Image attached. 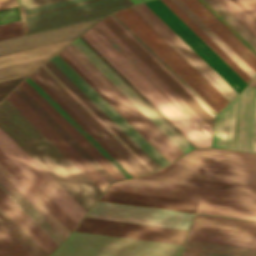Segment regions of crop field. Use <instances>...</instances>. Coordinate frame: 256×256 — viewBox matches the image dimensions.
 <instances>
[{
  "label": "crop field",
  "mask_w": 256,
  "mask_h": 256,
  "mask_svg": "<svg viewBox=\"0 0 256 256\" xmlns=\"http://www.w3.org/2000/svg\"><path fill=\"white\" fill-rule=\"evenodd\" d=\"M130 0H62L20 10L26 34L106 16ZM101 18L0 41V55L76 38Z\"/></svg>",
  "instance_id": "8a807250"
},
{
  "label": "crop field",
  "mask_w": 256,
  "mask_h": 256,
  "mask_svg": "<svg viewBox=\"0 0 256 256\" xmlns=\"http://www.w3.org/2000/svg\"><path fill=\"white\" fill-rule=\"evenodd\" d=\"M181 161L256 170V154L230 150L193 149ZM137 178L256 193V171L175 161L162 170Z\"/></svg>",
  "instance_id": "ac0d7876"
},
{
  "label": "crop field",
  "mask_w": 256,
  "mask_h": 256,
  "mask_svg": "<svg viewBox=\"0 0 256 256\" xmlns=\"http://www.w3.org/2000/svg\"><path fill=\"white\" fill-rule=\"evenodd\" d=\"M0 127L74 199L89 210L102 192L6 99L0 103Z\"/></svg>",
  "instance_id": "34b2d1b8"
},
{
  "label": "crop field",
  "mask_w": 256,
  "mask_h": 256,
  "mask_svg": "<svg viewBox=\"0 0 256 256\" xmlns=\"http://www.w3.org/2000/svg\"><path fill=\"white\" fill-rule=\"evenodd\" d=\"M107 190L199 201L200 214L256 220V194L131 178Z\"/></svg>",
  "instance_id": "412701ff"
},
{
  "label": "crop field",
  "mask_w": 256,
  "mask_h": 256,
  "mask_svg": "<svg viewBox=\"0 0 256 256\" xmlns=\"http://www.w3.org/2000/svg\"><path fill=\"white\" fill-rule=\"evenodd\" d=\"M182 246L73 231L50 256H179Z\"/></svg>",
  "instance_id": "f4fd0767"
},
{
  "label": "crop field",
  "mask_w": 256,
  "mask_h": 256,
  "mask_svg": "<svg viewBox=\"0 0 256 256\" xmlns=\"http://www.w3.org/2000/svg\"><path fill=\"white\" fill-rule=\"evenodd\" d=\"M161 113H163L197 147L211 142L191 124L153 85H151L113 46L93 27L81 35Z\"/></svg>",
  "instance_id": "dd49c442"
},
{
  "label": "crop field",
  "mask_w": 256,
  "mask_h": 256,
  "mask_svg": "<svg viewBox=\"0 0 256 256\" xmlns=\"http://www.w3.org/2000/svg\"><path fill=\"white\" fill-rule=\"evenodd\" d=\"M256 89L245 87L216 117L213 147L256 152Z\"/></svg>",
  "instance_id": "e52e79f7"
},
{
  "label": "crop field",
  "mask_w": 256,
  "mask_h": 256,
  "mask_svg": "<svg viewBox=\"0 0 256 256\" xmlns=\"http://www.w3.org/2000/svg\"><path fill=\"white\" fill-rule=\"evenodd\" d=\"M0 150L76 224L87 212L1 128Z\"/></svg>",
  "instance_id": "d8731c3e"
},
{
  "label": "crop field",
  "mask_w": 256,
  "mask_h": 256,
  "mask_svg": "<svg viewBox=\"0 0 256 256\" xmlns=\"http://www.w3.org/2000/svg\"><path fill=\"white\" fill-rule=\"evenodd\" d=\"M192 214L97 201L86 216L187 230Z\"/></svg>",
  "instance_id": "5a996713"
},
{
  "label": "crop field",
  "mask_w": 256,
  "mask_h": 256,
  "mask_svg": "<svg viewBox=\"0 0 256 256\" xmlns=\"http://www.w3.org/2000/svg\"><path fill=\"white\" fill-rule=\"evenodd\" d=\"M145 4L237 93L247 84L160 0L145 2Z\"/></svg>",
  "instance_id": "3316defc"
},
{
  "label": "crop field",
  "mask_w": 256,
  "mask_h": 256,
  "mask_svg": "<svg viewBox=\"0 0 256 256\" xmlns=\"http://www.w3.org/2000/svg\"><path fill=\"white\" fill-rule=\"evenodd\" d=\"M132 8L154 30H156L202 77H204L228 102L237 94L144 3L132 6Z\"/></svg>",
  "instance_id": "28ad6ade"
},
{
  "label": "crop field",
  "mask_w": 256,
  "mask_h": 256,
  "mask_svg": "<svg viewBox=\"0 0 256 256\" xmlns=\"http://www.w3.org/2000/svg\"><path fill=\"white\" fill-rule=\"evenodd\" d=\"M75 230L180 244L184 243L187 232L88 217H84Z\"/></svg>",
  "instance_id": "d1516ede"
},
{
  "label": "crop field",
  "mask_w": 256,
  "mask_h": 256,
  "mask_svg": "<svg viewBox=\"0 0 256 256\" xmlns=\"http://www.w3.org/2000/svg\"><path fill=\"white\" fill-rule=\"evenodd\" d=\"M33 73L49 89H51L84 123H86L138 175L149 172L110 133H108L83 107H81L55 80H53L41 67L38 68Z\"/></svg>",
  "instance_id": "22f410ed"
},
{
  "label": "crop field",
  "mask_w": 256,
  "mask_h": 256,
  "mask_svg": "<svg viewBox=\"0 0 256 256\" xmlns=\"http://www.w3.org/2000/svg\"><path fill=\"white\" fill-rule=\"evenodd\" d=\"M102 192L109 184L14 91L6 98Z\"/></svg>",
  "instance_id": "cbeb9de0"
},
{
  "label": "crop field",
  "mask_w": 256,
  "mask_h": 256,
  "mask_svg": "<svg viewBox=\"0 0 256 256\" xmlns=\"http://www.w3.org/2000/svg\"><path fill=\"white\" fill-rule=\"evenodd\" d=\"M120 12L132 22L156 47H158L182 72H184L221 109L228 103L205 79H203L156 31H154L131 7Z\"/></svg>",
  "instance_id": "5142ce71"
},
{
  "label": "crop field",
  "mask_w": 256,
  "mask_h": 256,
  "mask_svg": "<svg viewBox=\"0 0 256 256\" xmlns=\"http://www.w3.org/2000/svg\"><path fill=\"white\" fill-rule=\"evenodd\" d=\"M67 77H69L104 113H106L141 149H143L160 167L168 162L149 145L114 109H112L77 73H75L58 55L50 59Z\"/></svg>",
  "instance_id": "d9b57169"
},
{
  "label": "crop field",
  "mask_w": 256,
  "mask_h": 256,
  "mask_svg": "<svg viewBox=\"0 0 256 256\" xmlns=\"http://www.w3.org/2000/svg\"><path fill=\"white\" fill-rule=\"evenodd\" d=\"M71 41L0 56V81L28 75Z\"/></svg>",
  "instance_id": "733c2abd"
},
{
  "label": "crop field",
  "mask_w": 256,
  "mask_h": 256,
  "mask_svg": "<svg viewBox=\"0 0 256 256\" xmlns=\"http://www.w3.org/2000/svg\"><path fill=\"white\" fill-rule=\"evenodd\" d=\"M101 21L212 128L213 118L162 68H160L126 33H124L108 16Z\"/></svg>",
  "instance_id": "4a817a6b"
},
{
  "label": "crop field",
  "mask_w": 256,
  "mask_h": 256,
  "mask_svg": "<svg viewBox=\"0 0 256 256\" xmlns=\"http://www.w3.org/2000/svg\"><path fill=\"white\" fill-rule=\"evenodd\" d=\"M86 57L112 84H114L141 112H143L169 139L184 153L190 148L176 136L149 108H147L121 81H119L92 53L77 39L71 43Z\"/></svg>",
  "instance_id": "bc2a9ffb"
},
{
  "label": "crop field",
  "mask_w": 256,
  "mask_h": 256,
  "mask_svg": "<svg viewBox=\"0 0 256 256\" xmlns=\"http://www.w3.org/2000/svg\"><path fill=\"white\" fill-rule=\"evenodd\" d=\"M65 49L78 62H80L106 89H108L134 116H136L177 157L184 154L143 113H141L114 85H112L86 58H84L71 44L67 46Z\"/></svg>",
  "instance_id": "214f88e0"
},
{
  "label": "crop field",
  "mask_w": 256,
  "mask_h": 256,
  "mask_svg": "<svg viewBox=\"0 0 256 256\" xmlns=\"http://www.w3.org/2000/svg\"><path fill=\"white\" fill-rule=\"evenodd\" d=\"M182 1L256 72V56L237 37L216 19L198 0Z\"/></svg>",
  "instance_id": "92a150f3"
},
{
  "label": "crop field",
  "mask_w": 256,
  "mask_h": 256,
  "mask_svg": "<svg viewBox=\"0 0 256 256\" xmlns=\"http://www.w3.org/2000/svg\"><path fill=\"white\" fill-rule=\"evenodd\" d=\"M99 200L150 206V207H158V208H166V209H174V210H182V211H190V212L196 211V207L198 203L194 201L160 198V197H152V196H144V195L127 194V193H118V192H110V191H105Z\"/></svg>",
  "instance_id": "dafd665d"
},
{
  "label": "crop field",
  "mask_w": 256,
  "mask_h": 256,
  "mask_svg": "<svg viewBox=\"0 0 256 256\" xmlns=\"http://www.w3.org/2000/svg\"><path fill=\"white\" fill-rule=\"evenodd\" d=\"M0 208L10 218H12L48 254L58 246L21 209H19L1 190H0Z\"/></svg>",
  "instance_id": "00972430"
},
{
  "label": "crop field",
  "mask_w": 256,
  "mask_h": 256,
  "mask_svg": "<svg viewBox=\"0 0 256 256\" xmlns=\"http://www.w3.org/2000/svg\"><path fill=\"white\" fill-rule=\"evenodd\" d=\"M58 76L84 103H86L112 130H114L140 157L154 170L160 167L141 150L106 114H104L69 78H67L50 60L44 63Z\"/></svg>",
  "instance_id": "a9b5d70f"
},
{
  "label": "crop field",
  "mask_w": 256,
  "mask_h": 256,
  "mask_svg": "<svg viewBox=\"0 0 256 256\" xmlns=\"http://www.w3.org/2000/svg\"><path fill=\"white\" fill-rule=\"evenodd\" d=\"M190 228L256 236V222L220 218L200 214H195Z\"/></svg>",
  "instance_id": "4177f3b9"
},
{
  "label": "crop field",
  "mask_w": 256,
  "mask_h": 256,
  "mask_svg": "<svg viewBox=\"0 0 256 256\" xmlns=\"http://www.w3.org/2000/svg\"><path fill=\"white\" fill-rule=\"evenodd\" d=\"M0 189L21 208L58 245L65 237L53 227L29 202H27L4 178L0 176ZM46 234V235H47ZM47 235V236H48ZM48 236V237H49ZM49 237V238H50Z\"/></svg>",
  "instance_id": "730fd06b"
},
{
  "label": "crop field",
  "mask_w": 256,
  "mask_h": 256,
  "mask_svg": "<svg viewBox=\"0 0 256 256\" xmlns=\"http://www.w3.org/2000/svg\"><path fill=\"white\" fill-rule=\"evenodd\" d=\"M30 105L60 136H62L92 167H94L109 183L115 179L99 165L69 134H67L36 102H34L19 86L14 90Z\"/></svg>",
  "instance_id": "eef30255"
},
{
  "label": "crop field",
  "mask_w": 256,
  "mask_h": 256,
  "mask_svg": "<svg viewBox=\"0 0 256 256\" xmlns=\"http://www.w3.org/2000/svg\"><path fill=\"white\" fill-rule=\"evenodd\" d=\"M0 163L9 170L32 194H34L58 219L71 231L75 223L56 206L20 169H18L1 151Z\"/></svg>",
  "instance_id": "ae1a2a85"
},
{
  "label": "crop field",
  "mask_w": 256,
  "mask_h": 256,
  "mask_svg": "<svg viewBox=\"0 0 256 256\" xmlns=\"http://www.w3.org/2000/svg\"><path fill=\"white\" fill-rule=\"evenodd\" d=\"M38 92L61 116H63L87 141H89L112 165H114L126 178L132 175L123 168L95 139H93L69 114H67L43 89L30 77L25 80Z\"/></svg>",
  "instance_id": "d3111659"
},
{
  "label": "crop field",
  "mask_w": 256,
  "mask_h": 256,
  "mask_svg": "<svg viewBox=\"0 0 256 256\" xmlns=\"http://www.w3.org/2000/svg\"><path fill=\"white\" fill-rule=\"evenodd\" d=\"M73 65H75L101 92H103L129 119H131L157 146H159L172 160L177 158L164 144H162L136 117H134L108 90H106L80 63H78L65 49L60 51Z\"/></svg>",
  "instance_id": "750c4746"
},
{
  "label": "crop field",
  "mask_w": 256,
  "mask_h": 256,
  "mask_svg": "<svg viewBox=\"0 0 256 256\" xmlns=\"http://www.w3.org/2000/svg\"><path fill=\"white\" fill-rule=\"evenodd\" d=\"M93 27L211 141L212 135L203 126H201L173 97H171L143 68H141L112 38H110L97 24Z\"/></svg>",
  "instance_id": "bd1437ed"
},
{
  "label": "crop field",
  "mask_w": 256,
  "mask_h": 256,
  "mask_svg": "<svg viewBox=\"0 0 256 256\" xmlns=\"http://www.w3.org/2000/svg\"><path fill=\"white\" fill-rule=\"evenodd\" d=\"M182 10L208 37H210L236 64H238L251 78L256 74L237 54H235L196 14H194L181 0H171Z\"/></svg>",
  "instance_id": "1d83c4d3"
},
{
  "label": "crop field",
  "mask_w": 256,
  "mask_h": 256,
  "mask_svg": "<svg viewBox=\"0 0 256 256\" xmlns=\"http://www.w3.org/2000/svg\"><path fill=\"white\" fill-rule=\"evenodd\" d=\"M0 174L16 188L48 221H50L66 238L70 230L58 220L34 195H32L9 171L0 164Z\"/></svg>",
  "instance_id": "120bbe31"
},
{
  "label": "crop field",
  "mask_w": 256,
  "mask_h": 256,
  "mask_svg": "<svg viewBox=\"0 0 256 256\" xmlns=\"http://www.w3.org/2000/svg\"><path fill=\"white\" fill-rule=\"evenodd\" d=\"M187 239L256 248V237L190 229Z\"/></svg>",
  "instance_id": "d32e631a"
},
{
  "label": "crop field",
  "mask_w": 256,
  "mask_h": 256,
  "mask_svg": "<svg viewBox=\"0 0 256 256\" xmlns=\"http://www.w3.org/2000/svg\"><path fill=\"white\" fill-rule=\"evenodd\" d=\"M171 9L191 30H193L213 51H215L235 72H237L247 83L251 79L242 71L226 54H224L192 21H190L170 0H161ZM236 73V74H237ZM237 74V75H238ZM238 75V76H239ZM239 76V77H240ZM240 77V78H241ZM241 78V79H242ZM242 79V80H243ZM243 80V81H244Z\"/></svg>",
  "instance_id": "5866460e"
},
{
  "label": "crop field",
  "mask_w": 256,
  "mask_h": 256,
  "mask_svg": "<svg viewBox=\"0 0 256 256\" xmlns=\"http://www.w3.org/2000/svg\"><path fill=\"white\" fill-rule=\"evenodd\" d=\"M115 14L132 29L164 62H166L199 96H201L217 113L221 110L210 98H208L184 73H182L158 48H156L132 23H130L119 11Z\"/></svg>",
  "instance_id": "028f5c9d"
},
{
  "label": "crop field",
  "mask_w": 256,
  "mask_h": 256,
  "mask_svg": "<svg viewBox=\"0 0 256 256\" xmlns=\"http://www.w3.org/2000/svg\"><path fill=\"white\" fill-rule=\"evenodd\" d=\"M97 24L110 37H112L139 65H141L168 93H170L197 121H199L212 134V129L195 112H193L158 76H156L120 39H118L101 21L98 22Z\"/></svg>",
  "instance_id": "e1f06a70"
},
{
  "label": "crop field",
  "mask_w": 256,
  "mask_h": 256,
  "mask_svg": "<svg viewBox=\"0 0 256 256\" xmlns=\"http://www.w3.org/2000/svg\"><path fill=\"white\" fill-rule=\"evenodd\" d=\"M0 224L33 256H47L22 230L0 211Z\"/></svg>",
  "instance_id": "0bd39190"
},
{
  "label": "crop field",
  "mask_w": 256,
  "mask_h": 256,
  "mask_svg": "<svg viewBox=\"0 0 256 256\" xmlns=\"http://www.w3.org/2000/svg\"><path fill=\"white\" fill-rule=\"evenodd\" d=\"M41 88H43L67 113H69L93 138H95L119 163H121L133 176L137 174L120 159L88 126H86L57 96H55L33 73L29 75ZM120 164V165H121ZM121 165V166H122ZM122 166V167H123ZM123 167V168H124Z\"/></svg>",
  "instance_id": "b80d0937"
},
{
  "label": "crop field",
  "mask_w": 256,
  "mask_h": 256,
  "mask_svg": "<svg viewBox=\"0 0 256 256\" xmlns=\"http://www.w3.org/2000/svg\"><path fill=\"white\" fill-rule=\"evenodd\" d=\"M212 6L248 43L256 49V37L239 22L218 0H205Z\"/></svg>",
  "instance_id": "c035e120"
},
{
  "label": "crop field",
  "mask_w": 256,
  "mask_h": 256,
  "mask_svg": "<svg viewBox=\"0 0 256 256\" xmlns=\"http://www.w3.org/2000/svg\"><path fill=\"white\" fill-rule=\"evenodd\" d=\"M184 247L256 256V249L246 248V247H238V246H230V245H222V244H214V243H206V242H198V241H190V240L186 241Z\"/></svg>",
  "instance_id": "c21b1889"
},
{
  "label": "crop field",
  "mask_w": 256,
  "mask_h": 256,
  "mask_svg": "<svg viewBox=\"0 0 256 256\" xmlns=\"http://www.w3.org/2000/svg\"><path fill=\"white\" fill-rule=\"evenodd\" d=\"M0 244L12 256H32L1 225H0ZM1 245H0V256H11Z\"/></svg>",
  "instance_id": "03da06ac"
},
{
  "label": "crop field",
  "mask_w": 256,
  "mask_h": 256,
  "mask_svg": "<svg viewBox=\"0 0 256 256\" xmlns=\"http://www.w3.org/2000/svg\"><path fill=\"white\" fill-rule=\"evenodd\" d=\"M53 79H55L81 106H83L108 132H110L136 159H138L150 172L153 170L135 154L100 118H98L63 82H61L44 64L41 66Z\"/></svg>",
  "instance_id": "b54c1fbb"
},
{
  "label": "crop field",
  "mask_w": 256,
  "mask_h": 256,
  "mask_svg": "<svg viewBox=\"0 0 256 256\" xmlns=\"http://www.w3.org/2000/svg\"><path fill=\"white\" fill-rule=\"evenodd\" d=\"M34 101H36L66 132H68L99 164H101L116 180L120 178L104 164L73 132H71L39 99H37L22 83L19 85Z\"/></svg>",
  "instance_id": "5d738f31"
},
{
  "label": "crop field",
  "mask_w": 256,
  "mask_h": 256,
  "mask_svg": "<svg viewBox=\"0 0 256 256\" xmlns=\"http://www.w3.org/2000/svg\"><path fill=\"white\" fill-rule=\"evenodd\" d=\"M37 98H39L70 130H72L103 162H105L120 178L124 176L113 167L89 142H87L64 118H62L38 93L25 81L22 82Z\"/></svg>",
  "instance_id": "d23c7cc5"
},
{
  "label": "crop field",
  "mask_w": 256,
  "mask_h": 256,
  "mask_svg": "<svg viewBox=\"0 0 256 256\" xmlns=\"http://www.w3.org/2000/svg\"><path fill=\"white\" fill-rule=\"evenodd\" d=\"M123 27H125L149 52H151L175 77H177L201 102H203L215 115L217 114L201 97H199L167 64H165L132 30H130L114 13L111 14ZM202 103V104H203ZM203 104V105H204ZM204 105V106H205ZM205 106V107H206Z\"/></svg>",
  "instance_id": "425ffa30"
},
{
  "label": "crop field",
  "mask_w": 256,
  "mask_h": 256,
  "mask_svg": "<svg viewBox=\"0 0 256 256\" xmlns=\"http://www.w3.org/2000/svg\"><path fill=\"white\" fill-rule=\"evenodd\" d=\"M109 17L126 32L159 66H161L195 101H197L213 118L214 114L205 107L177 78H175L151 53H149L125 28H123L111 15Z\"/></svg>",
  "instance_id": "25e5ab78"
},
{
  "label": "crop field",
  "mask_w": 256,
  "mask_h": 256,
  "mask_svg": "<svg viewBox=\"0 0 256 256\" xmlns=\"http://www.w3.org/2000/svg\"><path fill=\"white\" fill-rule=\"evenodd\" d=\"M219 1L256 36V26L231 1Z\"/></svg>",
  "instance_id": "73cf0c24"
},
{
  "label": "crop field",
  "mask_w": 256,
  "mask_h": 256,
  "mask_svg": "<svg viewBox=\"0 0 256 256\" xmlns=\"http://www.w3.org/2000/svg\"><path fill=\"white\" fill-rule=\"evenodd\" d=\"M97 55H99L135 92H137L173 129H175L193 148L196 146L185 137L163 114H161L140 92H138L117 70H115L93 47L79 36Z\"/></svg>",
  "instance_id": "89e229c0"
},
{
  "label": "crop field",
  "mask_w": 256,
  "mask_h": 256,
  "mask_svg": "<svg viewBox=\"0 0 256 256\" xmlns=\"http://www.w3.org/2000/svg\"><path fill=\"white\" fill-rule=\"evenodd\" d=\"M22 34L24 33L20 20L0 25V40Z\"/></svg>",
  "instance_id": "1f2cbd36"
},
{
  "label": "crop field",
  "mask_w": 256,
  "mask_h": 256,
  "mask_svg": "<svg viewBox=\"0 0 256 256\" xmlns=\"http://www.w3.org/2000/svg\"><path fill=\"white\" fill-rule=\"evenodd\" d=\"M256 25V0H231Z\"/></svg>",
  "instance_id": "dbb93151"
},
{
  "label": "crop field",
  "mask_w": 256,
  "mask_h": 256,
  "mask_svg": "<svg viewBox=\"0 0 256 256\" xmlns=\"http://www.w3.org/2000/svg\"><path fill=\"white\" fill-rule=\"evenodd\" d=\"M90 52H92L119 80H121L147 107H149L176 135H178L191 149L192 147L173 130L137 93H135L99 56H97L80 38H77Z\"/></svg>",
  "instance_id": "0fb4a251"
},
{
  "label": "crop field",
  "mask_w": 256,
  "mask_h": 256,
  "mask_svg": "<svg viewBox=\"0 0 256 256\" xmlns=\"http://www.w3.org/2000/svg\"><path fill=\"white\" fill-rule=\"evenodd\" d=\"M95 90H97L124 118H126L154 147H156L169 161H172L160 150L140 129H138L118 108H116L96 87H94L61 53H59Z\"/></svg>",
  "instance_id": "1d79db26"
},
{
  "label": "crop field",
  "mask_w": 256,
  "mask_h": 256,
  "mask_svg": "<svg viewBox=\"0 0 256 256\" xmlns=\"http://www.w3.org/2000/svg\"><path fill=\"white\" fill-rule=\"evenodd\" d=\"M181 256H241V255H234V254H226V253H218V252H210V251L184 248Z\"/></svg>",
  "instance_id": "9d1cf04e"
},
{
  "label": "crop field",
  "mask_w": 256,
  "mask_h": 256,
  "mask_svg": "<svg viewBox=\"0 0 256 256\" xmlns=\"http://www.w3.org/2000/svg\"><path fill=\"white\" fill-rule=\"evenodd\" d=\"M26 77V76H25ZM25 77L0 82V101L15 88Z\"/></svg>",
  "instance_id": "447ae74e"
},
{
  "label": "crop field",
  "mask_w": 256,
  "mask_h": 256,
  "mask_svg": "<svg viewBox=\"0 0 256 256\" xmlns=\"http://www.w3.org/2000/svg\"><path fill=\"white\" fill-rule=\"evenodd\" d=\"M20 19L17 7L0 11V24Z\"/></svg>",
  "instance_id": "0765c3eb"
},
{
  "label": "crop field",
  "mask_w": 256,
  "mask_h": 256,
  "mask_svg": "<svg viewBox=\"0 0 256 256\" xmlns=\"http://www.w3.org/2000/svg\"><path fill=\"white\" fill-rule=\"evenodd\" d=\"M58 0H18L20 9Z\"/></svg>",
  "instance_id": "db79e9e6"
},
{
  "label": "crop field",
  "mask_w": 256,
  "mask_h": 256,
  "mask_svg": "<svg viewBox=\"0 0 256 256\" xmlns=\"http://www.w3.org/2000/svg\"><path fill=\"white\" fill-rule=\"evenodd\" d=\"M17 6L16 0H0V10Z\"/></svg>",
  "instance_id": "7b73153f"
},
{
  "label": "crop field",
  "mask_w": 256,
  "mask_h": 256,
  "mask_svg": "<svg viewBox=\"0 0 256 256\" xmlns=\"http://www.w3.org/2000/svg\"><path fill=\"white\" fill-rule=\"evenodd\" d=\"M256 83V76L251 80V82L248 85L254 86Z\"/></svg>",
  "instance_id": "78b8030e"
},
{
  "label": "crop field",
  "mask_w": 256,
  "mask_h": 256,
  "mask_svg": "<svg viewBox=\"0 0 256 256\" xmlns=\"http://www.w3.org/2000/svg\"><path fill=\"white\" fill-rule=\"evenodd\" d=\"M133 3H137V2H141V1H145V0H131Z\"/></svg>",
  "instance_id": "0f1d7ab4"
},
{
  "label": "crop field",
  "mask_w": 256,
  "mask_h": 256,
  "mask_svg": "<svg viewBox=\"0 0 256 256\" xmlns=\"http://www.w3.org/2000/svg\"><path fill=\"white\" fill-rule=\"evenodd\" d=\"M256 86V85H255Z\"/></svg>",
  "instance_id": "e1d0b9f6"
}]
</instances>
